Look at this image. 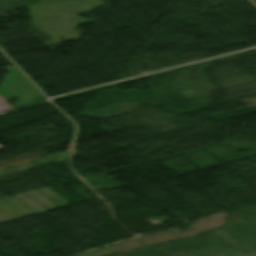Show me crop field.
I'll return each mask as SVG.
<instances>
[{
    "instance_id": "obj_1",
    "label": "crop field",
    "mask_w": 256,
    "mask_h": 256,
    "mask_svg": "<svg viewBox=\"0 0 256 256\" xmlns=\"http://www.w3.org/2000/svg\"><path fill=\"white\" fill-rule=\"evenodd\" d=\"M4 148L3 146L0 145V149Z\"/></svg>"
}]
</instances>
